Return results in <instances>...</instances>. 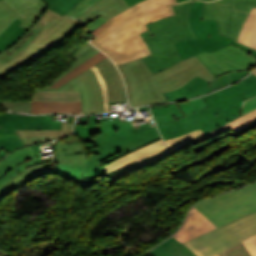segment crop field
<instances>
[{"mask_svg":"<svg viewBox=\"0 0 256 256\" xmlns=\"http://www.w3.org/2000/svg\"><path fill=\"white\" fill-rule=\"evenodd\" d=\"M248 73H249V71H246V72H231V73H228V74L230 76L231 82L233 83V82L243 78Z\"/></svg>","mask_w":256,"mask_h":256,"instance_id":"crop-field-52","label":"crop field"},{"mask_svg":"<svg viewBox=\"0 0 256 256\" xmlns=\"http://www.w3.org/2000/svg\"><path fill=\"white\" fill-rule=\"evenodd\" d=\"M81 23L67 15L62 17L47 9L16 45L0 53V80L59 45L82 26Z\"/></svg>","mask_w":256,"mask_h":256,"instance_id":"crop-field-4","label":"crop field"},{"mask_svg":"<svg viewBox=\"0 0 256 256\" xmlns=\"http://www.w3.org/2000/svg\"><path fill=\"white\" fill-rule=\"evenodd\" d=\"M6 154H9V153H7L5 150L2 149L0 151V159L4 158Z\"/></svg>","mask_w":256,"mask_h":256,"instance_id":"crop-field-57","label":"crop field"},{"mask_svg":"<svg viewBox=\"0 0 256 256\" xmlns=\"http://www.w3.org/2000/svg\"><path fill=\"white\" fill-rule=\"evenodd\" d=\"M193 2L172 6L174 16L147 24L149 30L141 33L152 53L142 59L152 74L180 61L173 42L195 37L188 22V12Z\"/></svg>","mask_w":256,"mask_h":256,"instance_id":"crop-field-6","label":"crop field"},{"mask_svg":"<svg viewBox=\"0 0 256 256\" xmlns=\"http://www.w3.org/2000/svg\"><path fill=\"white\" fill-rule=\"evenodd\" d=\"M175 0H144L121 13L90 34L91 44L105 52L116 65L149 55L139 33L148 30L144 24L174 14Z\"/></svg>","mask_w":256,"mask_h":256,"instance_id":"crop-field-1","label":"crop field"},{"mask_svg":"<svg viewBox=\"0 0 256 256\" xmlns=\"http://www.w3.org/2000/svg\"><path fill=\"white\" fill-rule=\"evenodd\" d=\"M165 144L163 142L162 139L156 141V142H153L139 150H136L130 154H127L107 165H104L103 168H104V171L106 173V176H109L113 173H115L116 171L122 169L123 167L131 164L132 162L148 155V154H151L159 149H162V148H165Z\"/></svg>","mask_w":256,"mask_h":256,"instance_id":"crop-field-18","label":"crop field"},{"mask_svg":"<svg viewBox=\"0 0 256 256\" xmlns=\"http://www.w3.org/2000/svg\"><path fill=\"white\" fill-rule=\"evenodd\" d=\"M201 134H203V132L199 129V130L190 132L184 136L167 140L165 142L169 148V152L172 153L178 149H181L183 146H185L187 143H189L191 140H193L194 138H196Z\"/></svg>","mask_w":256,"mask_h":256,"instance_id":"crop-field-35","label":"crop field"},{"mask_svg":"<svg viewBox=\"0 0 256 256\" xmlns=\"http://www.w3.org/2000/svg\"><path fill=\"white\" fill-rule=\"evenodd\" d=\"M129 8L130 6L125 0H100L78 16L77 19L83 21L86 26L99 15L108 21Z\"/></svg>","mask_w":256,"mask_h":256,"instance_id":"crop-field-16","label":"crop field"},{"mask_svg":"<svg viewBox=\"0 0 256 256\" xmlns=\"http://www.w3.org/2000/svg\"><path fill=\"white\" fill-rule=\"evenodd\" d=\"M182 1H185V0H178V3L182 2Z\"/></svg>","mask_w":256,"mask_h":256,"instance_id":"crop-field-59","label":"crop field"},{"mask_svg":"<svg viewBox=\"0 0 256 256\" xmlns=\"http://www.w3.org/2000/svg\"><path fill=\"white\" fill-rule=\"evenodd\" d=\"M75 78L81 90L83 114L103 112L99 84L91 69H87Z\"/></svg>","mask_w":256,"mask_h":256,"instance_id":"crop-field-14","label":"crop field"},{"mask_svg":"<svg viewBox=\"0 0 256 256\" xmlns=\"http://www.w3.org/2000/svg\"><path fill=\"white\" fill-rule=\"evenodd\" d=\"M105 22V20H103L100 16L98 18H96L94 21H92L89 25L86 26V34L90 33L92 30H94L95 28L103 25Z\"/></svg>","mask_w":256,"mask_h":256,"instance_id":"crop-field-48","label":"crop field"},{"mask_svg":"<svg viewBox=\"0 0 256 256\" xmlns=\"http://www.w3.org/2000/svg\"><path fill=\"white\" fill-rule=\"evenodd\" d=\"M101 133L94 135L101 147L100 156L90 155L81 178L106 177L102 165L161 138L155 126L133 127L125 118L97 122ZM74 166V165H59Z\"/></svg>","mask_w":256,"mask_h":256,"instance_id":"crop-field-5","label":"crop field"},{"mask_svg":"<svg viewBox=\"0 0 256 256\" xmlns=\"http://www.w3.org/2000/svg\"><path fill=\"white\" fill-rule=\"evenodd\" d=\"M178 105L182 110L184 116H187L189 114H192L207 107L202 98L178 103Z\"/></svg>","mask_w":256,"mask_h":256,"instance_id":"crop-field-39","label":"crop field"},{"mask_svg":"<svg viewBox=\"0 0 256 256\" xmlns=\"http://www.w3.org/2000/svg\"><path fill=\"white\" fill-rule=\"evenodd\" d=\"M203 4L195 1L189 12L190 25L196 38L174 43L182 60L202 51L213 52L234 42L219 34L217 21L200 20Z\"/></svg>","mask_w":256,"mask_h":256,"instance_id":"crop-field-9","label":"crop field"},{"mask_svg":"<svg viewBox=\"0 0 256 256\" xmlns=\"http://www.w3.org/2000/svg\"><path fill=\"white\" fill-rule=\"evenodd\" d=\"M138 109H139V111L146 110V112H147L148 116H150V115H151V114H150V111H149L148 106H147V107H140V108H138Z\"/></svg>","mask_w":256,"mask_h":256,"instance_id":"crop-field-56","label":"crop field"},{"mask_svg":"<svg viewBox=\"0 0 256 256\" xmlns=\"http://www.w3.org/2000/svg\"><path fill=\"white\" fill-rule=\"evenodd\" d=\"M153 116L171 113L169 107L151 109Z\"/></svg>","mask_w":256,"mask_h":256,"instance_id":"crop-field-53","label":"crop field"},{"mask_svg":"<svg viewBox=\"0 0 256 256\" xmlns=\"http://www.w3.org/2000/svg\"><path fill=\"white\" fill-rule=\"evenodd\" d=\"M208 85L209 82L196 76L184 87L176 91L166 93L164 95L166 96L168 101L183 100L185 98H191L194 96H200L202 94L212 92L213 90L207 88Z\"/></svg>","mask_w":256,"mask_h":256,"instance_id":"crop-field-22","label":"crop field"},{"mask_svg":"<svg viewBox=\"0 0 256 256\" xmlns=\"http://www.w3.org/2000/svg\"><path fill=\"white\" fill-rule=\"evenodd\" d=\"M91 69L93 70L95 76L98 79V82L100 84V90L102 93V98H103V106H104V112L108 111V94H107V89L105 86V83L103 81L102 75L99 71V69L95 66L91 67Z\"/></svg>","mask_w":256,"mask_h":256,"instance_id":"crop-field-41","label":"crop field"},{"mask_svg":"<svg viewBox=\"0 0 256 256\" xmlns=\"http://www.w3.org/2000/svg\"><path fill=\"white\" fill-rule=\"evenodd\" d=\"M15 13V15H12ZM20 19L23 23L20 27L29 29L35 21L23 17L16 12L5 0H0V34L14 21L15 18Z\"/></svg>","mask_w":256,"mask_h":256,"instance_id":"crop-field-25","label":"crop field"},{"mask_svg":"<svg viewBox=\"0 0 256 256\" xmlns=\"http://www.w3.org/2000/svg\"><path fill=\"white\" fill-rule=\"evenodd\" d=\"M228 130H230V128L227 127L226 125L221 126V127L217 128V129H214V130H212V131H210V132H207V133H205V134H203V135L197 137L196 139H194V140H193L192 142H190V143H192L193 145H195V144H197V143H199V142H201V141H204V140H206V139H208V138H211V137H213V136H215V135L222 134V133H224V132H226V131H228Z\"/></svg>","mask_w":256,"mask_h":256,"instance_id":"crop-field-44","label":"crop field"},{"mask_svg":"<svg viewBox=\"0 0 256 256\" xmlns=\"http://www.w3.org/2000/svg\"><path fill=\"white\" fill-rule=\"evenodd\" d=\"M31 113L81 114V102H32Z\"/></svg>","mask_w":256,"mask_h":256,"instance_id":"crop-field-23","label":"crop field"},{"mask_svg":"<svg viewBox=\"0 0 256 256\" xmlns=\"http://www.w3.org/2000/svg\"><path fill=\"white\" fill-rule=\"evenodd\" d=\"M231 84L230 79L227 74L222 75L210 83L209 88L217 90L225 85Z\"/></svg>","mask_w":256,"mask_h":256,"instance_id":"crop-field-46","label":"crop field"},{"mask_svg":"<svg viewBox=\"0 0 256 256\" xmlns=\"http://www.w3.org/2000/svg\"><path fill=\"white\" fill-rule=\"evenodd\" d=\"M218 227L256 211V182L195 205Z\"/></svg>","mask_w":256,"mask_h":256,"instance_id":"crop-field-7","label":"crop field"},{"mask_svg":"<svg viewBox=\"0 0 256 256\" xmlns=\"http://www.w3.org/2000/svg\"><path fill=\"white\" fill-rule=\"evenodd\" d=\"M151 252L156 256H194L186 247L172 238Z\"/></svg>","mask_w":256,"mask_h":256,"instance_id":"crop-field-29","label":"crop field"},{"mask_svg":"<svg viewBox=\"0 0 256 256\" xmlns=\"http://www.w3.org/2000/svg\"><path fill=\"white\" fill-rule=\"evenodd\" d=\"M90 116H82L79 117L78 120H81L80 122H77L76 124L86 125L88 122Z\"/></svg>","mask_w":256,"mask_h":256,"instance_id":"crop-field-55","label":"crop field"},{"mask_svg":"<svg viewBox=\"0 0 256 256\" xmlns=\"http://www.w3.org/2000/svg\"><path fill=\"white\" fill-rule=\"evenodd\" d=\"M84 147L90 149V153L99 155L100 147L98 143H83Z\"/></svg>","mask_w":256,"mask_h":256,"instance_id":"crop-field-51","label":"crop field"},{"mask_svg":"<svg viewBox=\"0 0 256 256\" xmlns=\"http://www.w3.org/2000/svg\"><path fill=\"white\" fill-rule=\"evenodd\" d=\"M61 121H52L50 115L30 116L0 113V150L12 152L24 146L14 129H61Z\"/></svg>","mask_w":256,"mask_h":256,"instance_id":"crop-field-10","label":"crop field"},{"mask_svg":"<svg viewBox=\"0 0 256 256\" xmlns=\"http://www.w3.org/2000/svg\"><path fill=\"white\" fill-rule=\"evenodd\" d=\"M84 168L54 166V174L76 182L82 188L98 183L97 179H80ZM82 181H85V185Z\"/></svg>","mask_w":256,"mask_h":256,"instance_id":"crop-field-32","label":"crop field"},{"mask_svg":"<svg viewBox=\"0 0 256 256\" xmlns=\"http://www.w3.org/2000/svg\"><path fill=\"white\" fill-rule=\"evenodd\" d=\"M100 52L98 49L94 48L92 45L89 44V42L87 44H85L75 55L74 57H76L77 59L72 62L70 65H73L72 67H70L68 70H66L65 72L61 73V75L56 78L51 84H49L46 88L44 89H34V91H80L79 90V86L74 79H72L71 81L67 82L66 84H64L63 86L59 87V88H55V89H50L48 88L49 86H51L53 83H55L57 80H59L61 77H63L65 74H67L68 72H70L72 69H74L75 67H77L79 64H81L82 62H84L86 59H88L89 57L93 56L94 54Z\"/></svg>","mask_w":256,"mask_h":256,"instance_id":"crop-field-19","label":"crop field"},{"mask_svg":"<svg viewBox=\"0 0 256 256\" xmlns=\"http://www.w3.org/2000/svg\"><path fill=\"white\" fill-rule=\"evenodd\" d=\"M254 122H256V110H254L240 118H237V119L231 121L227 125L230 126L234 130V132H233V134H234V133L238 132L239 130H241L242 128H244Z\"/></svg>","mask_w":256,"mask_h":256,"instance_id":"crop-field-38","label":"crop field"},{"mask_svg":"<svg viewBox=\"0 0 256 256\" xmlns=\"http://www.w3.org/2000/svg\"><path fill=\"white\" fill-rule=\"evenodd\" d=\"M252 7H256V0H227L219 14V32L237 40Z\"/></svg>","mask_w":256,"mask_h":256,"instance_id":"crop-field-12","label":"crop field"},{"mask_svg":"<svg viewBox=\"0 0 256 256\" xmlns=\"http://www.w3.org/2000/svg\"><path fill=\"white\" fill-rule=\"evenodd\" d=\"M256 235V213L184 243L196 256H215Z\"/></svg>","mask_w":256,"mask_h":256,"instance_id":"crop-field-8","label":"crop field"},{"mask_svg":"<svg viewBox=\"0 0 256 256\" xmlns=\"http://www.w3.org/2000/svg\"><path fill=\"white\" fill-rule=\"evenodd\" d=\"M38 158L32 146L18 149L0 161V187L12 177L33 165Z\"/></svg>","mask_w":256,"mask_h":256,"instance_id":"crop-field-13","label":"crop field"},{"mask_svg":"<svg viewBox=\"0 0 256 256\" xmlns=\"http://www.w3.org/2000/svg\"><path fill=\"white\" fill-rule=\"evenodd\" d=\"M89 150L84 149L82 143H71L57 141L54 147L55 164L85 165Z\"/></svg>","mask_w":256,"mask_h":256,"instance_id":"crop-field-17","label":"crop field"},{"mask_svg":"<svg viewBox=\"0 0 256 256\" xmlns=\"http://www.w3.org/2000/svg\"><path fill=\"white\" fill-rule=\"evenodd\" d=\"M217 228L205 215L196 208H192L181 229L173 236L184 243L198 235Z\"/></svg>","mask_w":256,"mask_h":256,"instance_id":"crop-field-15","label":"crop field"},{"mask_svg":"<svg viewBox=\"0 0 256 256\" xmlns=\"http://www.w3.org/2000/svg\"><path fill=\"white\" fill-rule=\"evenodd\" d=\"M253 256H256V236L243 242Z\"/></svg>","mask_w":256,"mask_h":256,"instance_id":"crop-field-50","label":"crop field"},{"mask_svg":"<svg viewBox=\"0 0 256 256\" xmlns=\"http://www.w3.org/2000/svg\"><path fill=\"white\" fill-rule=\"evenodd\" d=\"M105 59L109 63V65L112 67V69L116 72L118 80L120 82V86H121L122 97H123L124 100H126V92H125L124 83H123L122 78H121V74L119 73V71L116 68L115 64L108 57L105 58Z\"/></svg>","mask_w":256,"mask_h":256,"instance_id":"crop-field-47","label":"crop field"},{"mask_svg":"<svg viewBox=\"0 0 256 256\" xmlns=\"http://www.w3.org/2000/svg\"><path fill=\"white\" fill-rule=\"evenodd\" d=\"M253 74H255V75H256V71H255Z\"/></svg>","mask_w":256,"mask_h":256,"instance_id":"crop-field-60","label":"crop field"},{"mask_svg":"<svg viewBox=\"0 0 256 256\" xmlns=\"http://www.w3.org/2000/svg\"><path fill=\"white\" fill-rule=\"evenodd\" d=\"M16 11L23 16L37 21L47 6L41 0H6Z\"/></svg>","mask_w":256,"mask_h":256,"instance_id":"crop-field-24","label":"crop field"},{"mask_svg":"<svg viewBox=\"0 0 256 256\" xmlns=\"http://www.w3.org/2000/svg\"><path fill=\"white\" fill-rule=\"evenodd\" d=\"M201 62V61H200ZM193 56L152 75L141 58L118 65L127 87L131 107L167 102L163 93L173 91L188 83L196 75L213 81L215 78ZM197 72V73H195ZM160 86V88H158Z\"/></svg>","mask_w":256,"mask_h":256,"instance_id":"crop-field-2","label":"crop field"},{"mask_svg":"<svg viewBox=\"0 0 256 256\" xmlns=\"http://www.w3.org/2000/svg\"><path fill=\"white\" fill-rule=\"evenodd\" d=\"M52 168V163H44L34 165L21 174L14 177L11 181L5 184L3 187L0 188V198L6 194H8L13 189H16L27 182L33 180L34 178L41 176L43 174L49 173Z\"/></svg>","mask_w":256,"mask_h":256,"instance_id":"crop-field-21","label":"crop field"},{"mask_svg":"<svg viewBox=\"0 0 256 256\" xmlns=\"http://www.w3.org/2000/svg\"><path fill=\"white\" fill-rule=\"evenodd\" d=\"M219 256H251L243 243L219 254Z\"/></svg>","mask_w":256,"mask_h":256,"instance_id":"crop-field-42","label":"crop field"},{"mask_svg":"<svg viewBox=\"0 0 256 256\" xmlns=\"http://www.w3.org/2000/svg\"><path fill=\"white\" fill-rule=\"evenodd\" d=\"M22 22L16 20L0 35V52L15 44L27 30L18 27Z\"/></svg>","mask_w":256,"mask_h":256,"instance_id":"crop-field-31","label":"crop field"},{"mask_svg":"<svg viewBox=\"0 0 256 256\" xmlns=\"http://www.w3.org/2000/svg\"><path fill=\"white\" fill-rule=\"evenodd\" d=\"M99 128L97 126L95 116H91L87 126L75 125V130L73 135L79 136L83 142H96L92 135L99 133Z\"/></svg>","mask_w":256,"mask_h":256,"instance_id":"crop-field-34","label":"crop field"},{"mask_svg":"<svg viewBox=\"0 0 256 256\" xmlns=\"http://www.w3.org/2000/svg\"><path fill=\"white\" fill-rule=\"evenodd\" d=\"M233 44L236 45L237 47L241 48L242 50H244V51H246V52H248V53H250V54L256 56V51H254V50H252V49H250V48H247V47H245V46H242V45H240V44H238V43H236V42L233 43Z\"/></svg>","mask_w":256,"mask_h":256,"instance_id":"crop-field-54","label":"crop field"},{"mask_svg":"<svg viewBox=\"0 0 256 256\" xmlns=\"http://www.w3.org/2000/svg\"><path fill=\"white\" fill-rule=\"evenodd\" d=\"M164 106H169L173 114L153 117L156 123L176 120V119H179V118L183 117V115L181 113V110L178 108L176 103L153 105V106H150V108L164 107Z\"/></svg>","mask_w":256,"mask_h":256,"instance_id":"crop-field-40","label":"crop field"},{"mask_svg":"<svg viewBox=\"0 0 256 256\" xmlns=\"http://www.w3.org/2000/svg\"><path fill=\"white\" fill-rule=\"evenodd\" d=\"M49 9L60 15H65L71 8L77 5L78 0H43Z\"/></svg>","mask_w":256,"mask_h":256,"instance_id":"crop-field-36","label":"crop field"},{"mask_svg":"<svg viewBox=\"0 0 256 256\" xmlns=\"http://www.w3.org/2000/svg\"><path fill=\"white\" fill-rule=\"evenodd\" d=\"M167 156H169V152H168L167 148L159 150V151H157V152H155V153H153V154H151V155H149V156H147V157H145V158H143V159L127 166V167H125V168H123L122 170L116 172L115 174L107 177V179H108L109 182H112V181L124 176L125 174H127L131 171H134V170L139 169L141 167H144L146 165L151 166V165L155 164L156 162L162 160L163 158H165Z\"/></svg>","mask_w":256,"mask_h":256,"instance_id":"crop-field-26","label":"crop field"},{"mask_svg":"<svg viewBox=\"0 0 256 256\" xmlns=\"http://www.w3.org/2000/svg\"><path fill=\"white\" fill-rule=\"evenodd\" d=\"M98 0H83L80 4L75 6L72 10H70L67 15H71L73 17H77L80 15L83 11H85L87 8L92 6L94 3H96Z\"/></svg>","mask_w":256,"mask_h":256,"instance_id":"crop-field-45","label":"crop field"},{"mask_svg":"<svg viewBox=\"0 0 256 256\" xmlns=\"http://www.w3.org/2000/svg\"><path fill=\"white\" fill-rule=\"evenodd\" d=\"M256 95V76L203 96L208 108L180 120L156 124L164 140L201 128L205 133L237 117L244 100Z\"/></svg>","mask_w":256,"mask_h":256,"instance_id":"crop-field-3","label":"crop field"},{"mask_svg":"<svg viewBox=\"0 0 256 256\" xmlns=\"http://www.w3.org/2000/svg\"><path fill=\"white\" fill-rule=\"evenodd\" d=\"M105 57H107L105 54L103 53H98L95 56L89 58L88 60H86L84 63H82L81 65H79L77 68H75L74 70H72L70 73H68L66 76H64L62 79H60L59 81H57L55 84H53L50 88H55V87H59L61 85H63L64 83H66L67 81L71 80L72 78H74L75 76H77L78 74H80L81 72H83L84 70H86L87 68H89L90 66L98 63L99 61H101L102 59H104Z\"/></svg>","mask_w":256,"mask_h":256,"instance_id":"crop-field-33","label":"crop field"},{"mask_svg":"<svg viewBox=\"0 0 256 256\" xmlns=\"http://www.w3.org/2000/svg\"><path fill=\"white\" fill-rule=\"evenodd\" d=\"M256 8H253L243 25L238 42L256 49Z\"/></svg>","mask_w":256,"mask_h":256,"instance_id":"crop-field-28","label":"crop field"},{"mask_svg":"<svg viewBox=\"0 0 256 256\" xmlns=\"http://www.w3.org/2000/svg\"><path fill=\"white\" fill-rule=\"evenodd\" d=\"M80 1H82V0H80Z\"/></svg>","mask_w":256,"mask_h":256,"instance_id":"crop-field-61","label":"crop field"},{"mask_svg":"<svg viewBox=\"0 0 256 256\" xmlns=\"http://www.w3.org/2000/svg\"><path fill=\"white\" fill-rule=\"evenodd\" d=\"M225 0H217L213 2H205L201 19L217 20L218 14Z\"/></svg>","mask_w":256,"mask_h":256,"instance_id":"crop-field-37","label":"crop field"},{"mask_svg":"<svg viewBox=\"0 0 256 256\" xmlns=\"http://www.w3.org/2000/svg\"><path fill=\"white\" fill-rule=\"evenodd\" d=\"M128 2L129 5H133L141 0H126Z\"/></svg>","mask_w":256,"mask_h":256,"instance_id":"crop-field-58","label":"crop field"},{"mask_svg":"<svg viewBox=\"0 0 256 256\" xmlns=\"http://www.w3.org/2000/svg\"><path fill=\"white\" fill-rule=\"evenodd\" d=\"M72 124L63 122L62 130H16L24 145L65 137L72 133Z\"/></svg>","mask_w":256,"mask_h":256,"instance_id":"crop-field-20","label":"crop field"},{"mask_svg":"<svg viewBox=\"0 0 256 256\" xmlns=\"http://www.w3.org/2000/svg\"><path fill=\"white\" fill-rule=\"evenodd\" d=\"M96 65L100 69L103 75V78L106 82L108 93H109V102L123 100L121 97L120 87L117 81L116 74L111 69V67L107 64L105 59Z\"/></svg>","mask_w":256,"mask_h":256,"instance_id":"crop-field-27","label":"crop field"},{"mask_svg":"<svg viewBox=\"0 0 256 256\" xmlns=\"http://www.w3.org/2000/svg\"><path fill=\"white\" fill-rule=\"evenodd\" d=\"M218 256V255H217Z\"/></svg>","mask_w":256,"mask_h":256,"instance_id":"crop-field-62","label":"crop field"},{"mask_svg":"<svg viewBox=\"0 0 256 256\" xmlns=\"http://www.w3.org/2000/svg\"><path fill=\"white\" fill-rule=\"evenodd\" d=\"M196 57L214 77L228 71L250 69L256 64V57L232 44L214 53L202 52Z\"/></svg>","mask_w":256,"mask_h":256,"instance_id":"crop-field-11","label":"crop field"},{"mask_svg":"<svg viewBox=\"0 0 256 256\" xmlns=\"http://www.w3.org/2000/svg\"><path fill=\"white\" fill-rule=\"evenodd\" d=\"M254 109H256V97L245 102L241 115L246 114Z\"/></svg>","mask_w":256,"mask_h":256,"instance_id":"crop-field-49","label":"crop field"},{"mask_svg":"<svg viewBox=\"0 0 256 256\" xmlns=\"http://www.w3.org/2000/svg\"><path fill=\"white\" fill-rule=\"evenodd\" d=\"M0 104L12 111L19 112V110L31 111V102H0Z\"/></svg>","mask_w":256,"mask_h":256,"instance_id":"crop-field-43","label":"crop field"},{"mask_svg":"<svg viewBox=\"0 0 256 256\" xmlns=\"http://www.w3.org/2000/svg\"><path fill=\"white\" fill-rule=\"evenodd\" d=\"M32 101H81L80 92H33Z\"/></svg>","mask_w":256,"mask_h":256,"instance_id":"crop-field-30","label":"crop field"}]
</instances>
